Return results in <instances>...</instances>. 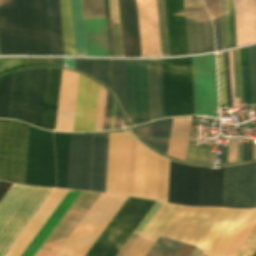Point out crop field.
Returning <instances> with one entry per match:
<instances>
[{"mask_svg": "<svg viewBox=\"0 0 256 256\" xmlns=\"http://www.w3.org/2000/svg\"><path fill=\"white\" fill-rule=\"evenodd\" d=\"M189 54L213 50L211 26L203 8L185 10Z\"/></svg>", "mask_w": 256, "mask_h": 256, "instance_id": "21", "label": "crop field"}, {"mask_svg": "<svg viewBox=\"0 0 256 256\" xmlns=\"http://www.w3.org/2000/svg\"><path fill=\"white\" fill-rule=\"evenodd\" d=\"M172 119L149 123L135 130L140 138L153 148L166 154Z\"/></svg>", "mask_w": 256, "mask_h": 256, "instance_id": "26", "label": "crop field"}, {"mask_svg": "<svg viewBox=\"0 0 256 256\" xmlns=\"http://www.w3.org/2000/svg\"><path fill=\"white\" fill-rule=\"evenodd\" d=\"M126 200L101 194L55 256H85Z\"/></svg>", "mask_w": 256, "mask_h": 256, "instance_id": "7", "label": "crop field"}, {"mask_svg": "<svg viewBox=\"0 0 256 256\" xmlns=\"http://www.w3.org/2000/svg\"><path fill=\"white\" fill-rule=\"evenodd\" d=\"M75 69L93 76L92 60L75 59Z\"/></svg>", "mask_w": 256, "mask_h": 256, "instance_id": "49", "label": "crop field"}, {"mask_svg": "<svg viewBox=\"0 0 256 256\" xmlns=\"http://www.w3.org/2000/svg\"><path fill=\"white\" fill-rule=\"evenodd\" d=\"M192 117L173 119L167 155L184 161Z\"/></svg>", "mask_w": 256, "mask_h": 256, "instance_id": "28", "label": "crop field"}, {"mask_svg": "<svg viewBox=\"0 0 256 256\" xmlns=\"http://www.w3.org/2000/svg\"><path fill=\"white\" fill-rule=\"evenodd\" d=\"M28 64H50L49 59L27 58L24 65Z\"/></svg>", "mask_w": 256, "mask_h": 256, "instance_id": "56", "label": "crop field"}, {"mask_svg": "<svg viewBox=\"0 0 256 256\" xmlns=\"http://www.w3.org/2000/svg\"><path fill=\"white\" fill-rule=\"evenodd\" d=\"M12 75L0 79V117L7 118L12 85Z\"/></svg>", "mask_w": 256, "mask_h": 256, "instance_id": "37", "label": "crop field"}, {"mask_svg": "<svg viewBox=\"0 0 256 256\" xmlns=\"http://www.w3.org/2000/svg\"><path fill=\"white\" fill-rule=\"evenodd\" d=\"M191 2H192V5H193L194 8L198 7L197 3H196V0H191Z\"/></svg>", "mask_w": 256, "mask_h": 256, "instance_id": "63", "label": "crop field"}, {"mask_svg": "<svg viewBox=\"0 0 256 256\" xmlns=\"http://www.w3.org/2000/svg\"><path fill=\"white\" fill-rule=\"evenodd\" d=\"M1 61V60H0Z\"/></svg>", "mask_w": 256, "mask_h": 256, "instance_id": "66", "label": "crop field"}, {"mask_svg": "<svg viewBox=\"0 0 256 256\" xmlns=\"http://www.w3.org/2000/svg\"><path fill=\"white\" fill-rule=\"evenodd\" d=\"M253 256H256V252L254 253V255Z\"/></svg>", "mask_w": 256, "mask_h": 256, "instance_id": "65", "label": "crop field"}, {"mask_svg": "<svg viewBox=\"0 0 256 256\" xmlns=\"http://www.w3.org/2000/svg\"><path fill=\"white\" fill-rule=\"evenodd\" d=\"M127 10L132 56H141L135 0H127Z\"/></svg>", "mask_w": 256, "mask_h": 256, "instance_id": "34", "label": "crop field"}, {"mask_svg": "<svg viewBox=\"0 0 256 256\" xmlns=\"http://www.w3.org/2000/svg\"><path fill=\"white\" fill-rule=\"evenodd\" d=\"M67 190L55 189L42 208L39 210L37 215L25 229L23 234L11 248L6 256H21L34 237L38 234L65 196L68 194ZM81 192L70 191L39 234L35 237L26 251L22 256H34L69 208L72 206L74 201L80 195Z\"/></svg>", "mask_w": 256, "mask_h": 256, "instance_id": "6", "label": "crop field"}, {"mask_svg": "<svg viewBox=\"0 0 256 256\" xmlns=\"http://www.w3.org/2000/svg\"><path fill=\"white\" fill-rule=\"evenodd\" d=\"M93 68L94 77L111 88L109 60H93Z\"/></svg>", "mask_w": 256, "mask_h": 256, "instance_id": "42", "label": "crop field"}, {"mask_svg": "<svg viewBox=\"0 0 256 256\" xmlns=\"http://www.w3.org/2000/svg\"><path fill=\"white\" fill-rule=\"evenodd\" d=\"M121 119H122V115L120 114V112H119V110H118V108L116 106L114 128H120Z\"/></svg>", "mask_w": 256, "mask_h": 256, "instance_id": "58", "label": "crop field"}, {"mask_svg": "<svg viewBox=\"0 0 256 256\" xmlns=\"http://www.w3.org/2000/svg\"><path fill=\"white\" fill-rule=\"evenodd\" d=\"M197 2H198V6H199V7H203L200 0H197Z\"/></svg>", "mask_w": 256, "mask_h": 256, "instance_id": "64", "label": "crop field"}, {"mask_svg": "<svg viewBox=\"0 0 256 256\" xmlns=\"http://www.w3.org/2000/svg\"><path fill=\"white\" fill-rule=\"evenodd\" d=\"M48 69L14 73L8 118L42 124Z\"/></svg>", "mask_w": 256, "mask_h": 256, "instance_id": "8", "label": "crop field"}, {"mask_svg": "<svg viewBox=\"0 0 256 256\" xmlns=\"http://www.w3.org/2000/svg\"><path fill=\"white\" fill-rule=\"evenodd\" d=\"M219 4H220L222 49H224L226 48V37H225L223 0H219ZM224 4H225L226 36H227V48H228V46H231V47L236 46L233 0H224Z\"/></svg>", "mask_w": 256, "mask_h": 256, "instance_id": "30", "label": "crop field"}, {"mask_svg": "<svg viewBox=\"0 0 256 256\" xmlns=\"http://www.w3.org/2000/svg\"><path fill=\"white\" fill-rule=\"evenodd\" d=\"M69 140L28 126L25 184L66 188Z\"/></svg>", "mask_w": 256, "mask_h": 256, "instance_id": "3", "label": "crop field"}, {"mask_svg": "<svg viewBox=\"0 0 256 256\" xmlns=\"http://www.w3.org/2000/svg\"><path fill=\"white\" fill-rule=\"evenodd\" d=\"M255 227L256 212L253 214V216L250 218V220L247 222V224L244 226V228L241 230V232L238 234V236L235 238V240L223 254V256H234Z\"/></svg>", "mask_w": 256, "mask_h": 256, "instance_id": "36", "label": "crop field"}, {"mask_svg": "<svg viewBox=\"0 0 256 256\" xmlns=\"http://www.w3.org/2000/svg\"><path fill=\"white\" fill-rule=\"evenodd\" d=\"M64 65L74 69V59H63Z\"/></svg>", "mask_w": 256, "mask_h": 256, "instance_id": "60", "label": "crop field"}, {"mask_svg": "<svg viewBox=\"0 0 256 256\" xmlns=\"http://www.w3.org/2000/svg\"><path fill=\"white\" fill-rule=\"evenodd\" d=\"M164 205L165 204L163 203L155 202L140 225L137 227V230L145 232ZM180 208L181 206L179 205L166 204L146 232L160 236ZM154 235L142 232L125 256H145L158 239V236Z\"/></svg>", "mask_w": 256, "mask_h": 256, "instance_id": "16", "label": "crop field"}, {"mask_svg": "<svg viewBox=\"0 0 256 256\" xmlns=\"http://www.w3.org/2000/svg\"><path fill=\"white\" fill-rule=\"evenodd\" d=\"M27 126L0 120V180L24 184Z\"/></svg>", "mask_w": 256, "mask_h": 256, "instance_id": "11", "label": "crop field"}, {"mask_svg": "<svg viewBox=\"0 0 256 256\" xmlns=\"http://www.w3.org/2000/svg\"><path fill=\"white\" fill-rule=\"evenodd\" d=\"M200 167L170 161L168 202L197 206Z\"/></svg>", "mask_w": 256, "mask_h": 256, "instance_id": "18", "label": "crop field"}, {"mask_svg": "<svg viewBox=\"0 0 256 256\" xmlns=\"http://www.w3.org/2000/svg\"><path fill=\"white\" fill-rule=\"evenodd\" d=\"M226 158H227V148L222 147L221 156H220V164L226 163Z\"/></svg>", "mask_w": 256, "mask_h": 256, "instance_id": "59", "label": "crop field"}, {"mask_svg": "<svg viewBox=\"0 0 256 256\" xmlns=\"http://www.w3.org/2000/svg\"><path fill=\"white\" fill-rule=\"evenodd\" d=\"M238 139L230 138L227 163L236 162Z\"/></svg>", "mask_w": 256, "mask_h": 256, "instance_id": "52", "label": "crop field"}, {"mask_svg": "<svg viewBox=\"0 0 256 256\" xmlns=\"http://www.w3.org/2000/svg\"><path fill=\"white\" fill-rule=\"evenodd\" d=\"M0 54L50 55L45 0H0Z\"/></svg>", "mask_w": 256, "mask_h": 256, "instance_id": "2", "label": "crop field"}, {"mask_svg": "<svg viewBox=\"0 0 256 256\" xmlns=\"http://www.w3.org/2000/svg\"><path fill=\"white\" fill-rule=\"evenodd\" d=\"M119 9H120L124 56H131L127 10H126V0H119Z\"/></svg>", "mask_w": 256, "mask_h": 256, "instance_id": "39", "label": "crop field"}, {"mask_svg": "<svg viewBox=\"0 0 256 256\" xmlns=\"http://www.w3.org/2000/svg\"><path fill=\"white\" fill-rule=\"evenodd\" d=\"M237 46L256 42V0H234Z\"/></svg>", "mask_w": 256, "mask_h": 256, "instance_id": "24", "label": "crop field"}, {"mask_svg": "<svg viewBox=\"0 0 256 256\" xmlns=\"http://www.w3.org/2000/svg\"><path fill=\"white\" fill-rule=\"evenodd\" d=\"M61 70L49 69L42 128L54 130Z\"/></svg>", "mask_w": 256, "mask_h": 256, "instance_id": "29", "label": "crop field"}, {"mask_svg": "<svg viewBox=\"0 0 256 256\" xmlns=\"http://www.w3.org/2000/svg\"><path fill=\"white\" fill-rule=\"evenodd\" d=\"M153 204L128 198L86 256H115Z\"/></svg>", "mask_w": 256, "mask_h": 256, "instance_id": "10", "label": "crop field"}, {"mask_svg": "<svg viewBox=\"0 0 256 256\" xmlns=\"http://www.w3.org/2000/svg\"><path fill=\"white\" fill-rule=\"evenodd\" d=\"M114 110H115V102L113 105V115H112V125H111V129H113V123H114Z\"/></svg>", "mask_w": 256, "mask_h": 256, "instance_id": "61", "label": "crop field"}, {"mask_svg": "<svg viewBox=\"0 0 256 256\" xmlns=\"http://www.w3.org/2000/svg\"><path fill=\"white\" fill-rule=\"evenodd\" d=\"M114 56H123L118 0H109Z\"/></svg>", "mask_w": 256, "mask_h": 256, "instance_id": "35", "label": "crop field"}, {"mask_svg": "<svg viewBox=\"0 0 256 256\" xmlns=\"http://www.w3.org/2000/svg\"><path fill=\"white\" fill-rule=\"evenodd\" d=\"M219 56L220 58H218V66H219V80H220V100H221V105H227L223 53L219 54Z\"/></svg>", "mask_w": 256, "mask_h": 256, "instance_id": "46", "label": "crop field"}, {"mask_svg": "<svg viewBox=\"0 0 256 256\" xmlns=\"http://www.w3.org/2000/svg\"><path fill=\"white\" fill-rule=\"evenodd\" d=\"M223 206L256 207V163L226 167Z\"/></svg>", "mask_w": 256, "mask_h": 256, "instance_id": "14", "label": "crop field"}, {"mask_svg": "<svg viewBox=\"0 0 256 256\" xmlns=\"http://www.w3.org/2000/svg\"><path fill=\"white\" fill-rule=\"evenodd\" d=\"M165 117L194 115L191 57L162 60Z\"/></svg>", "mask_w": 256, "mask_h": 256, "instance_id": "9", "label": "crop field"}, {"mask_svg": "<svg viewBox=\"0 0 256 256\" xmlns=\"http://www.w3.org/2000/svg\"><path fill=\"white\" fill-rule=\"evenodd\" d=\"M230 58V72H231V86H232V100H233V107L235 106V93H234V81H233V69H232V57L231 51L229 52ZM239 99H236V106H238Z\"/></svg>", "mask_w": 256, "mask_h": 256, "instance_id": "55", "label": "crop field"}, {"mask_svg": "<svg viewBox=\"0 0 256 256\" xmlns=\"http://www.w3.org/2000/svg\"><path fill=\"white\" fill-rule=\"evenodd\" d=\"M106 89L100 85L95 131L102 130Z\"/></svg>", "mask_w": 256, "mask_h": 256, "instance_id": "44", "label": "crop field"}, {"mask_svg": "<svg viewBox=\"0 0 256 256\" xmlns=\"http://www.w3.org/2000/svg\"><path fill=\"white\" fill-rule=\"evenodd\" d=\"M223 208L182 206L162 236L197 245ZM160 236L146 256H174L182 242Z\"/></svg>", "mask_w": 256, "mask_h": 256, "instance_id": "5", "label": "crop field"}, {"mask_svg": "<svg viewBox=\"0 0 256 256\" xmlns=\"http://www.w3.org/2000/svg\"><path fill=\"white\" fill-rule=\"evenodd\" d=\"M104 4H105V13H106V22H107L109 51H110V55H113L112 41H111V31H110V20H109V10H108V0H104Z\"/></svg>", "mask_w": 256, "mask_h": 256, "instance_id": "53", "label": "crop field"}, {"mask_svg": "<svg viewBox=\"0 0 256 256\" xmlns=\"http://www.w3.org/2000/svg\"><path fill=\"white\" fill-rule=\"evenodd\" d=\"M256 251V228L235 256H252Z\"/></svg>", "mask_w": 256, "mask_h": 256, "instance_id": "45", "label": "crop field"}, {"mask_svg": "<svg viewBox=\"0 0 256 256\" xmlns=\"http://www.w3.org/2000/svg\"><path fill=\"white\" fill-rule=\"evenodd\" d=\"M76 56H87L81 0H71Z\"/></svg>", "mask_w": 256, "mask_h": 256, "instance_id": "31", "label": "crop field"}, {"mask_svg": "<svg viewBox=\"0 0 256 256\" xmlns=\"http://www.w3.org/2000/svg\"><path fill=\"white\" fill-rule=\"evenodd\" d=\"M93 134H71L67 188L89 191Z\"/></svg>", "mask_w": 256, "mask_h": 256, "instance_id": "17", "label": "crop field"}, {"mask_svg": "<svg viewBox=\"0 0 256 256\" xmlns=\"http://www.w3.org/2000/svg\"><path fill=\"white\" fill-rule=\"evenodd\" d=\"M253 105H256V45L249 48Z\"/></svg>", "mask_w": 256, "mask_h": 256, "instance_id": "43", "label": "crop field"}, {"mask_svg": "<svg viewBox=\"0 0 256 256\" xmlns=\"http://www.w3.org/2000/svg\"><path fill=\"white\" fill-rule=\"evenodd\" d=\"M25 59H7L2 60L0 64V72L5 71L7 69L15 68L21 66Z\"/></svg>", "mask_w": 256, "mask_h": 256, "instance_id": "51", "label": "crop field"}, {"mask_svg": "<svg viewBox=\"0 0 256 256\" xmlns=\"http://www.w3.org/2000/svg\"><path fill=\"white\" fill-rule=\"evenodd\" d=\"M170 55L188 54L183 0H165Z\"/></svg>", "mask_w": 256, "mask_h": 256, "instance_id": "22", "label": "crop field"}, {"mask_svg": "<svg viewBox=\"0 0 256 256\" xmlns=\"http://www.w3.org/2000/svg\"><path fill=\"white\" fill-rule=\"evenodd\" d=\"M84 18H105L103 0H82ZM89 56L109 55L105 19H84Z\"/></svg>", "mask_w": 256, "mask_h": 256, "instance_id": "19", "label": "crop field"}, {"mask_svg": "<svg viewBox=\"0 0 256 256\" xmlns=\"http://www.w3.org/2000/svg\"><path fill=\"white\" fill-rule=\"evenodd\" d=\"M128 118L150 120L147 60H125Z\"/></svg>", "mask_w": 256, "mask_h": 256, "instance_id": "13", "label": "crop field"}, {"mask_svg": "<svg viewBox=\"0 0 256 256\" xmlns=\"http://www.w3.org/2000/svg\"><path fill=\"white\" fill-rule=\"evenodd\" d=\"M228 108L232 107L228 52L224 53Z\"/></svg>", "mask_w": 256, "mask_h": 256, "instance_id": "50", "label": "crop field"}, {"mask_svg": "<svg viewBox=\"0 0 256 256\" xmlns=\"http://www.w3.org/2000/svg\"><path fill=\"white\" fill-rule=\"evenodd\" d=\"M11 183L1 182L0 181V200L5 195V193L8 191V189L11 187Z\"/></svg>", "mask_w": 256, "mask_h": 256, "instance_id": "57", "label": "crop field"}, {"mask_svg": "<svg viewBox=\"0 0 256 256\" xmlns=\"http://www.w3.org/2000/svg\"><path fill=\"white\" fill-rule=\"evenodd\" d=\"M232 56H233L236 98H242V93H243V101H246L247 105H252L248 48L240 49V52H239L242 93H241L238 50L232 51Z\"/></svg>", "mask_w": 256, "mask_h": 256, "instance_id": "25", "label": "crop field"}, {"mask_svg": "<svg viewBox=\"0 0 256 256\" xmlns=\"http://www.w3.org/2000/svg\"><path fill=\"white\" fill-rule=\"evenodd\" d=\"M210 19L213 23L216 37L217 50L221 49L220 24H219V6L218 0H203Z\"/></svg>", "mask_w": 256, "mask_h": 256, "instance_id": "38", "label": "crop field"}, {"mask_svg": "<svg viewBox=\"0 0 256 256\" xmlns=\"http://www.w3.org/2000/svg\"><path fill=\"white\" fill-rule=\"evenodd\" d=\"M109 133H94L90 191L105 192ZM168 170L132 134H110L106 192L167 202Z\"/></svg>", "mask_w": 256, "mask_h": 256, "instance_id": "1", "label": "crop field"}, {"mask_svg": "<svg viewBox=\"0 0 256 256\" xmlns=\"http://www.w3.org/2000/svg\"><path fill=\"white\" fill-rule=\"evenodd\" d=\"M195 115L218 117L214 55L192 57Z\"/></svg>", "mask_w": 256, "mask_h": 256, "instance_id": "15", "label": "crop field"}, {"mask_svg": "<svg viewBox=\"0 0 256 256\" xmlns=\"http://www.w3.org/2000/svg\"><path fill=\"white\" fill-rule=\"evenodd\" d=\"M99 84L81 75L73 131H94Z\"/></svg>", "mask_w": 256, "mask_h": 256, "instance_id": "20", "label": "crop field"}, {"mask_svg": "<svg viewBox=\"0 0 256 256\" xmlns=\"http://www.w3.org/2000/svg\"><path fill=\"white\" fill-rule=\"evenodd\" d=\"M51 190L13 184L0 202V256L5 254Z\"/></svg>", "mask_w": 256, "mask_h": 256, "instance_id": "4", "label": "crop field"}, {"mask_svg": "<svg viewBox=\"0 0 256 256\" xmlns=\"http://www.w3.org/2000/svg\"><path fill=\"white\" fill-rule=\"evenodd\" d=\"M253 145H244L242 161L252 160Z\"/></svg>", "mask_w": 256, "mask_h": 256, "instance_id": "54", "label": "crop field"}, {"mask_svg": "<svg viewBox=\"0 0 256 256\" xmlns=\"http://www.w3.org/2000/svg\"><path fill=\"white\" fill-rule=\"evenodd\" d=\"M151 120L164 117L161 60H148Z\"/></svg>", "mask_w": 256, "mask_h": 256, "instance_id": "27", "label": "crop field"}, {"mask_svg": "<svg viewBox=\"0 0 256 256\" xmlns=\"http://www.w3.org/2000/svg\"><path fill=\"white\" fill-rule=\"evenodd\" d=\"M210 148L188 145L185 161L208 164Z\"/></svg>", "mask_w": 256, "mask_h": 256, "instance_id": "40", "label": "crop field"}, {"mask_svg": "<svg viewBox=\"0 0 256 256\" xmlns=\"http://www.w3.org/2000/svg\"><path fill=\"white\" fill-rule=\"evenodd\" d=\"M59 2H60L65 55L75 56L70 0H59Z\"/></svg>", "mask_w": 256, "mask_h": 256, "instance_id": "33", "label": "crop field"}, {"mask_svg": "<svg viewBox=\"0 0 256 256\" xmlns=\"http://www.w3.org/2000/svg\"><path fill=\"white\" fill-rule=\"evenodd\" d=\"M112 91L118 97L126 115V91L124 60H110Z\"/></svg>", "mask_w": 256, "mask_h": 256, "instance_id": "32", "label": "crop field"}, {"mask_svg": "<svg viewBox=\"0 0 256 256\" xmlns=\"http://www.w3.org/2000/svg\"><path fill=\"white\" fill-rule=\"evenodd\" d=\"M57 55H64L58 0H52Z\"/></svg>", "mask_w": 256, "mask_h": 256, "instance_id": "41", "label": "crop field"}, {"mask_svg": "<svg viewBox=\"0 0 256 256\" xmlns=\"http://www.w3.org/2000/svg\"><path fill=\"white\" fill-rule=\"evenodd\" d=\"M255 210L224 208L196 248L208 256H222ZM196 248L190 256H206Z\"/></svg>", "mask_w": 256, "mask_h": 256, "instance_id": "12", "label": "crop field"}, {"mask_svg": "<svg viewBox=\"0 0 256 256\" xmlns=\"http://www.w3.org/2000/svg\"><path fill=\"white\" fill-rule=\"evenodd\" d=\"M46 8H47V18H48V29H49L51 55H56L54 30H53V20H52V10H51V0H46Z\"/></svg>", "mask_w": 256, "mask_h": 256, "instance_id": "47", "label": "crop field"}, {"mask_svg": "<svg viewBox=\"0 0 256 256\" xmlns=\"http://www.w3.org/2000/svg\"><path fill=\"white\" fill-rule=\"evenodd\" d=\"M56 64L63 65L62 59H55Z\"/></svg>", "mask_w": 256, "mask_h": 256, "instance_id": "62", "label": "crop field"}, {"mask_svg": "<svg viewBox=\"0 0 256 256\" xmlns=\"http://www.w3.org/2000/svg\"><path fill=\"white\" fill-rule=\"evenodd\" d=\"M112 104H113V99L107 92L103 130H109L110 129Z\"/></svg>", "mask_w": 256, "mask_h": 256, "instance_id": "48", "label": "crop field"}, {"mask_svg": "<svg viewBox=\"0 0 256 256\" xmlns=\"http://www.w3.org/2000/svg\"><path fill=\"white\" fill-rule=\"evenodd\" d=\"M225 168L201 167L198 206H222Z\"/></svg>", "mask_w": 256, "mask_h": 256, "instance_id": "23", "label": "crop field"}]
</instances>
